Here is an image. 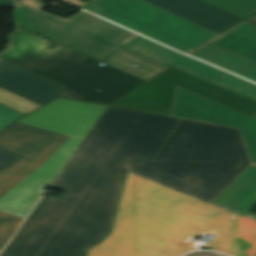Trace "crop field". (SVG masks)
Masks as SVG:
<instances>
[{
  "label": "crop field",
  "instance_id": "crop-field-1",
  "mask_svg": "<svg viewBox=\"0 0 256 256\" xmlns=\"http://www.w3.org/2000/svg\"><path fill=\"white\" fill-rule=\"evenodd\" d=\"M108 107L1 256H85L109 233L128 171L210 203L250 164L238 130Z\"/></svg>",
  "mask_w": 256,
  "mask_h": 256
},
{
  "label": "crop field",
  "instance_id": "crop-field-2",
  "mask_svg": "<svg viewBox=\"0 0 256 256\" xmlns=\"http://www.w3.org/2000/svg\"><path fill=\"white\" fill-rule=\"evenodd\" d=\"M212 250L256 256V222L128 172L111 234L88 256H180L208 231Z\"/></svg>",
  "mask_w": 256,
  "mask_h": 256
},
{
  "label": "crop field",
  "instance_id": "crop-field-3",
  "mask_svg": "<svg viewBox=\"0 0 256 256\" xmlns=\"http://www.w3.org/2000/svg\"><path fill=\"white\" fill-rule=\"evenodd\" d=\"M16 14L19 26L145 81L165 69L117 48L165 68L172 65L256 101L255 84L168 49L83 10L65 20L18 3ZM133 64L137 66L134 67ZM222 74L225 76L219 77Z\"/></svg>",
  "mask_w": 256,
  "mask_h": 256
},
{
  "label": "crop field",
  "instance_id": "crop-field-4",
  "mask_svg": "<svg viewBox=\"0 0 256 256\" xmlns=\"http://www.w3.org/2000/svg\"><path fill=\"white\" fill-rule=\"evenodd\" d=\"M10 38L0 57L66 86L63 97L109 105L145 82L21 28Z\"/></svg>",
  "mask_w": 256,
  "mask_h": 256
},
{
  "label": "crop field",
  "instance_id": "crop-field-5",
  "mask_svg": "<svg viewBox=\"0 0 256 256\" xmlns=\"http://www.w3.org/2000/svg\"><path fill=\"white\" fill-rule=\"evenodd\" d=\"M80 7L186 54L218 35L141 0H92Z\"/></svg>",
  "mask_w": 256,
  "mask_h": 256
},
{
  "label": "crop field",
  "instance_id": "crop-field-6",
  "mask_svg": "<svg viewBox=\"0 0 256 256\" xmlns=\"http://www.w3.org/2000/svg\"><path fill=\"white\" fill-rule=\"evenodd\" d=\"M177 86L256 118V102L174 67L114 103L113 106L170 116Z\"/></svg>",
  "mask_w": 256,
  "mask_h": 256
},
{
  "label": "crop field",
  "instance_id": "crop-field-7",
  "mask_svg": "<svg viewBox=\"0 0 256 256\" xmlns=\"http://www.w3.org/2000/svg\"><path fill=\"white\" fill-rule=\"evenodd\" d=\"M68 135L15 123L0 132V147L22 158L16 165L0 172V196L48 159ZM22 219L0 213V251Z\"/></svg>",
  "mask_w": 256,
  "mask_h": 256
},
{
  "label": "crop field",
  "instance_id": "crop-field-8",
  "mask_svg": "<svg viewBox=\"0 0 256 256\" xmlns=\"http://www.w3.org/2000/svg\"><path fill=\"white\" fill-rule=\"evenodd\" d=\"M239 129L251 163L256 164V119L177 87L172 115Z\"/></svg>",
  "mask_w": 256,
  "mask_h": 256
},
{
  "label": "crop field",
  "instance_id": "crop-field-9",
  "mask_svg": "<svg viewBox=\"0 0 256 256\" xmlns=\"http://www.w3.org/2000/svg\"><path fill=\"white\" fill-rule=\"evenodd\" d=\"M107 107L57 98L18 122L84 139Z\"/></svg>",
  "mask_w": 256,
  "mask_h": 256
},
{
  "label": "crop field",
  "instance_id": "crop-field-10",
  "mask_svg": "<svg viewBox=\"0 0 256 256\" xmlns=\"http://www.w3.org/2000/svg\"><path fill=\"white\" fill-rule=\"evenodd\" d=\"M81 141L73 137L67 140L38 169L0 198V210L26 218L42 196L44 185L52 182Z\"/></svg>",
  "mask_w": 256,
  "mask_h": 256
},
{
  "label": "crop field",
  "instance_id": "crop-field-11",
  "mask_svg": "<svg viewBox=\"0 0 256 256\" xmlns=\"http://www.w3.org/2000/svg\"><path fill=\"white\" fill-rule=\"evenodd\" d=\"M0 87L41 105L57 98L65 88L1 58Z\"/></svg>",
  "mask_w": 256,
  "mask_h": 256
},
{
  "label": "crop field",
  "instance_id": "crop-field-12",
  "mask_svg": "<svg viewBox=\"0 0 256 256\" xmlns=\"http://www.w3.org/2000/svg\"><path fill=\"white\" fill-rule=\"evenodd\" d=\"M217 33H222L242 19L200 0H144ZM175 15V16H176Z\"/></svg>",
  "mask_w": 256,
  "mask_h": 256
},
{
  "label": "crop field",
  "instance_id": "crop-field-13",
  "mask_svg": "<svg viewBox=\"0 0 256 256\" xmlns=\"http://www.w3.org/2000/svg\"><path fill=\"white\" fill-rule=\"evenodd\" d=\"M255 203V165H250L220 196L211 202V204L256 221V215L247 212Z\"/></svg>",
  "mask_w": 256,
  "mask_h": 256
},
{
  "label": "crop field",
  "instance_id": "crop-field-14",
  "mask_svg": "<svg viewBox=\"0 0 256 256\" xmlns=\"http://www.w3.org/2000/svg\"><path fill=\"white\" fill-rule=\"evenodd\" d=\"M208 43L256 62V27L245 22Z\"/></svg>",
  "mask_w": 256,
  "mask_h": 256
},
{
  "label": "crop field",
  "instance_id": "crop-field-15",
  "mask_svg": "<svg viewBox=\"0 0 256 256\" xmlns=\"http://www.w3.org/2000/svg\"><path fill=\"white\" fill-rule=\"evenodd\" d=\"M192 56L256 81V63L214 45H207Z\"/></svg>",
  "mask_w": 256,
  "mask_h": 256
},
{
  "label": "crop field",
  "instance_id": "crop-field-16",
  "mask_svg": "<svg viewBox=\"0 0 256 256\" xmlns=\"http://www.w3.org/2000/svg\"><path fill=\"white\" fill-rule=\"evenodd\" d=\"M242 19L256 12V0H202Z\"/></svg>",
  "mask_w": 256,
  "mask_h": 256
},
{
  "label": "crop field",
  "instance_id": "crop-field-17",
  "mask_svg": "<svg viewBox=\"0 0 256 256\" xmlns=\"http://www.w3.org/2000/svg\"><path fill=\"white\" fill-rule=\"evenodd\" d=\"M0 102L14 109H17L25 114L33 111L41 105L26 100L22 97L9 93L0 88Z\"/></svg>",
  "mask_w": 256,
  "mask_h": 256
},
{
  "label": "crop field",
  "instance_id": "crop-field-18",
  "mask_svg": "<svg viewBox=\"0 0 256 256\" xmlns=\"http://www.w3.org/2000/svg\"><path fill=\"white\" fill-rule=\"evenodd\" d=\"M25 114L0 103V130Z\"/></svg>",
  "mask_w": 256,
  "mask_h": 256
},
{
  "label": "crop field",
  "instance_id": "crop-field-19",
  "mask_svg": "<svg viewBox=\"0 0 256 256\" xmlns=\"http://www.w3.org/2000/svg\"><path fill=\"white\" fill-rule=\"evenodd\" d=\"M19 159L21 158L5 150L0 149V171L12 165Z\"/></svg>",
  "mask_w": 256,
  "mask_h": 256
},
{
  "label": "crop field",
  "instance_id": "crop-field-20",
  "mask_svg": "<svg viewBox=\"0 0 256 256\" xmlns=\"http://www.w3.org/2000/svg\"><path fill=\"white\" fill-rule=\"evenodd\" d=\"M19 2H20V3H23V4H26V5H29V6H31V7L40 9V10H42V9H44V8L46 7V6H44V5L39 4V3H41V2H39V1H37V0H21V1H19Z\"/></svg>",
  "mask_w": 256,
  "mask_h": 256
},
{
  "label": "crop field",
  "instance_id": "crop-field-21",
  "mask_svg": "<svg viewBox=\"0 0 256 256\" xmlns=\"http://www.w3.org/2000/svg\"><path fill=\"white\" fill-rule=\"evenodd\" d=\"M187 256H222V255L211 253V252H194Z\"/></svg>",
  "mask_w": 256,
  "mask_h": 256
},
{
  "label": "crop field",
  "instance_id": "crop-field-22",
  "mask_svg": "<svg viewBox=\"0 0 256 256\" xmlns=\"http://www.w3.org/2000/svg\"><path fill=\"white\" fill-rule=\"evenodd\" d=\"M15 1L12 0H0V6H14Z\"/></svg>",
  "mask_w": 256,
  "mask_h": 256
},
{
  "label": "crop field",
  "instance_id": "crop-field-23",
  "mask_svg": "<svg viewBox=\"0 0 256 256\" xmlns=\"http://www.w3.org/2000/svg\"><path fill=\"white\" fill-rule=\"evenodd\" d=\"M246 22L256 25V15L248 19Z\"/></svg>",
  "mask_w": 256,
  "mask_h": 256
},
{
  "label": "crop field",
  "instance_id": "crop-field-24",
  "mask_svg": "<svg viewBox=\"0 0 256 256\" xmlns=\"http://www.w3.org/2000/svg\"><path fill=\"white\" fill-rule=\"evenodd\" d=\"M67 1L73 3V4L77 5V6H80V5H82V4H85V3H83V2H81V1H79V0H67Z\"/></svg>",
  "mask_w": 256,
  "mask_h": 256
},
{
  "label": "crop field",
  "instance_id": "crop-field-25",
  "mask_svg": "<svg viewBox=\"0 0 256 256\" xmlns=\"http://www.w3.org/2000/svg\"><path fill=\"white\" fill-rule=\"evenodd\" d=\"M17 1H19V0H17Z\"/></svg>",
  "mask_w": 256,
  "mask_h": 256
}]
</instances>
